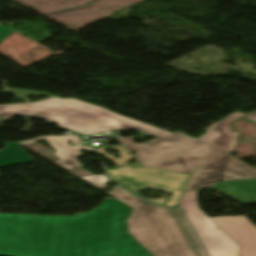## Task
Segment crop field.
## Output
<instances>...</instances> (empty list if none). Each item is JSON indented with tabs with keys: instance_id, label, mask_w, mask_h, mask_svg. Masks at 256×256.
Masks as SVG:
<instances>
[{
	"instance_id": "8a807250",
	"label": "crop field",
	"mask_w": 256,
	"mask_h": 256,
	"mask_svg": "<svg viewBox=\"0 0 256 256\" xmlns=\"http://www.w3.org/2000/svg\"><path fill=\"white\" fill-rule=\"evenodd\" d=\"M131 210L111 199L75 216L0 213V255L151 256L126 231Z\"/></svg>"
},
{
	"instance_id": "ac0d7876",
	"label": "crop field",
	"mask_w": 256,
	"mask_h": 256,
	"mask_svg": "<svg viewBox=\"0 0 256 256\" xmlns=\"http://www.w3.org/2000/svg\"><path fill=\"white\" fill-rule=\"evenodd\" d=\"M7 92L28 102L0 106V123L17 115L40 117L60 126L84 134L108 129H137L141 137L158 138L152 144H134L133 138L119 139L136 159L145 166L192 174L205 160L223 150L182 133H168L149 125L119 116L102 108L73 98L59 99L40 92L7 89ZM46 94L49 99L32 103L22 95Z\"/></svg>"
},
{
	"instance_id": "34b2d1b8",
	"label": "crop field",
	"mask_w": 256,
	"mask_h": 256,
	"mask_svg": "<svg viewBox=\"0 0 256 256\" xmlns=\"http://www.w3.org/2000/svg\"><path fill=\"white\" fill-rule=\"evenodd\" d=\"M106 193L135 209L126 220L129 233L152 256H198L174 210L143 201L118 185Z\"/></svg>"
},
{
	"instance_id": "412701ff",
	"label": "crop field",
	"mask_w": 256,
	"mask_h": 256,
	"mask_svg": "<svg viewBox=\"0 0 256 256\" xmlns=\"http://www.w3.org/2000/svg\"><path fill=\"white\" fill-rule=\"evenodd\" d=\"M114 148L121 154L117 159L113 155H108L105 150ZM98 153L113 161L118 167L107 170L110 178L121 186L132 191L138 196L139 190L156 189L171 193L167 206H176L184 186L190 175L177 173L167 170H161L151 167L128 164L127 162L134 159L123 146L96 148ZM149 200V199H147ZM160 205H164L166 199L159 198L149 200Z\"/></svg>"
},
{
	"instance_id": "f4fd0767",
	"label": "crop field",
	"mask_w": 256,
	"mask_h": 256,
	"mask_svg": "<svg viewBox=\"0 0 256 256\" xmlns=\"http://www.w3.org/2000/svg\"><path fill=\"white\" fill-rule=\"evenodd\" d=\"M198 192H184L181 207L199 235L210 256H238L240 247L198 206Z\"/></svg>"
},
{
	"instance_id": "dd49c442",
	"label": "crop field",
	"mask_w": 256,
	"mask_h": 256,
	"mask_svg": "<svg viewBox=\"0 0 256 256\" xmlns=\"http://www.w3.org/2000/svg\"><path fill=\"white\" fill-rule=\"evenodd\" d=\"M256 178V169L240 160L221 154L203 163L190 179L185 190L200 189L222 180Z\"/></svg>"
},
{
	"instance_id": "e52e79f7",
	"label": "crop field",
	"mask_w": 256,
	"mask_h": 256,
	"mask_svg": "<svg viewBox=\"0 0 256 256\" xmlns=\"http://www.w3.org/2000/svg\"><path fill=\"white\" fill-rule=\"evenodd\" d=\"M211 219L241 247L239 256H256V225L246 216Z\"/></svg>"
},
{
	"instance_id": "d8731c3e",
	"label": "crop field",
	"mask_w": 256,
	"mask_h": 256,
	"mask_svg": "<svg viewBox=\"0 0 256 256\" xmlns=\"http://www.w3.org/2000/svg\"><path fill=\"white\" fill-rule=\"evenodd\" d=\"M46 139L55 149L54 153L60 160L54 162L57 165L67 168L74 169L83 166L82 163L76 161V157L80 156V149H87L94 151L92 147L81 146L78 136L67 135V136H45L34 140L20 142V145L37 142ZM77 144L76 147L69 146V142Z\"/></svg>"
},
{
	"instance_id": "5a996713",
	"label": "crop field",
	"mask_w": 256,
	"mask_h": 256,
	"mask_svg": "<svg viewBox=\"0 0 256 256\" xmlns=\"http://www.w3.org/2000/svg\"><path fill=\"white\" fill-rule=\"evenodd\" d=\"M242 115H243L242 113H234V114L228 116L224 120L211 126L208 129L207 133L204 136L200 137V139L207 141V142L224 150L226 148L227 143L232 134L230 122L237 119L238 117H240ZM243 118H247V119L256 121V113L247 114ZM238 135H239V133L234 132L233 137L230 142V145L227 150L228 152L232 153L234 146L236 144V141L238 139Z\"/></svg>"
},
{
	"instance_id": "3316defc",
	"label": "crop field",
	"mask_w": 256,
	"mask_h": 256,
	"mask_svg": "<svg viewBox=\"0 0 256 256\" xmlns=\"http://www.w3.org/2000/svg\"><path fill=\"white\" fill-rule=\"evenodd\" d=\"M213 187L244 204L256 203V179L221 182Z\"/></svg>"
},
{
	"instance_id": "28ad6ade",
	"label": "crop field",
	"mask_w": 256,
	"mask_h": 256,
	"mask_svg": "<svg viewBox=\"0 0 256 256\" xmlns=\"http://www.w3.org/2000/svg\"><path fill=\"white\" fill-rule=\"evenodd\" d=\"M18 143H7L6 148L0 151V167L32 162Z\"/></svg>"
},
{
	"instance_id": "d1516ede",
	"label": "crop field",
	"mask_w": 256,
	"mask_h": 256,
	"mask_svg": "<svg viewBox=\"0 0 256 256\" xmlns=\"http://www.w3.org/2000/svg\"><path fill=\"white\" fill-rule=\"evenodd\" d=\"M177 215L179 216V218L181 219L184 227L186 228L188 234L190 235L193 243L195 244L198 252L200 253L201 256H207L205 251L203 250L201 244L199 243L196 235L194 234L193 230L191 229L190 225L188 224L187 220L185 219L182 211L180 209H177L176 211Z\"/></svg>"
},
{
	"instance_id": "22f410ed",
	"label": "crop field",
	"mask_w": 256,
	"mask_h": 256,
	"mask_svg": "<svg viewBox=\"0 0 256 256\" xmlns=\"http://www.w3.org/2000/svg\"><path fill=\"white\" fill-rule=\"evenodd\" d=\"M80 178L100 189L107 188L105 184L109 182L105 175H93Z\"/></svg>"
},
{
	"instance_id": "cbeb9de0",
	"label": "crop field",
	"mask_w": 256,
	"mask_h": 256,
	"mask_svg": "<svg viewBox=\"0 0 256 256\" xmlns=\"http://www.w3.org/2000/svg\"><path fill=\"white\" fill-rule=\"evenodd\" d=\"M13 30L0 25V42L6 37L8 36Z\"/></svg>"
}]
</instances>
